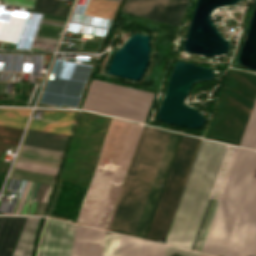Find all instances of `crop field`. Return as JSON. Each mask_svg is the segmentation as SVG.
Returning <instances> with one entry per match:
<instances>
[{"label":"crop field","mask_w":256,"mask_h":256,"mask_svg":"<svg viewBox=\"0 0 256 256\" xmlns=\"http://www.w3.org/2000/svg\"><path fill=\"white\" fill-rule=\"evenodd\" d=\"M179 136L143 127L106 230L143 237Z\"/></svg>","instance_id":"crop-field-1"},{"label":"crop field","mask_w":256,"mask_h":256,"mask_svg":"<svg viewBox=\"0 0 256 256\" xmlns=\"http://www.w3.org/2000/svg\"><path fill=\"white\" fill-rule=\"evenodd\" d=\"M75 226L48 218L38 256H70Z\"/></svg>","instance_id":"crop-field-10"},{"label":"crop field","mask_w":256,"mask_h":256,"mask_svg":"<svg viewBox=\"0 0 256 256\" xmlns=\"http://www.w3.org/2000/svg\"><path fill=\"white\" fill-rule=\"evenodd\" d=\"M227 149L202 140L165 244L192 249Z\"/></svg>","instance_id":"crop-field-4"},{"label":"crop field","mask_w":256,"mask_h":256,"mask_svg":"<svg viewBox=\"0 0 256 256\" xmlns=\"http://www.w3.org/2000/svg\"><path fill=\"white\" fill-rule=\"evenodd\" d=\"M231 147H232V146L230 145L229 150H228L227 155H226V158H225V161H224V163H223V166H222V169H221L220 175H219V177H218V180H217L216 186H215V188H214V191H213L212 197L214 196V193H215V191H216V188H217L218 182H219V180H220V177H221L222 171H223V169H224L225 163H226V161H227V158H228L229 152H230V150H231ZM234 148H235V147L233 146V147H232V150H231V152H230V155H229L228 161H227V163H226V166H225L224 172H223V174H222L221 180H220V182H219V185H218V188H217V191H216V193H215V196H214V197H217V196H218V193H219V190H220V188H221V185H222V182H223V179H224L225 173H226V171H227V168H228V165H229V162H230L231 156H232V154H233ZM238 149H239V148H237V147L235 148V151H234V154H233V156H232V159H231V162H230V165H229L228 171H227V173H226V176H225V179H224V182H223L222 188H221L220 193H219V196H218L219 198L221 197V194H222V192H223L224 186H225V184H226L227 178H228V176H229V173H230V170H231V168H232V165H233V162H234V160H235V157H236V154H237ZM212 197H211V199H210V202H209L208 208H207V210H206V213H205L204 219H203V221H202V224H201V227H200L199 233H198V235H197V238H196V241H195V244H194V246H193V249H192V250H194V249H195V246H196V244H197V241H198V238H199L200 232H201V230H202V227H203V224H204L205 218H206V216H207V213H208V210H209L210 204H211L212 199H213ZM219 198H218V199H217V198H214V199H213V202H212V204H211V207H210V210H209L208 216H207V218H206V221H205V224H204L203 230H202V232H201V235H200V238H199L198 244H197L196 249H195L196 251L198 250V247H199V245H200L201 239H202L203 234H204V231H205V229H206V226H207L208 220H209V218H210L211 212H212V210H213L214 204H215L216 199H217V202H216V204H215L214 210H213L212 215H211V218H210V220H209V223H208L207 229H206V231H205L204 237H203V239H202L201 245H200L199 250H198L199 252L201 251V248H202V246H203L204 240H205L206 235H207V232H208V230H209V227H210L211 221H212V219H213L214 213H215L216 208H217V205H218V203H219V200H220Z\"/></svg>","instance_id":"crop-field-13"},{"label":"crop field","mask_w":256,"mask_h":256,"mask_svg":"<svg viewBox=\"0 0 256 256\" xmlns=\"http://www.w3.org/2000/svg\"><path fill=\"white\" fill-rule=\"evenodd\" d=\"M105 232L77 226L71 256H102Z\"/></svg>","instance_id":"crop-field-11"},{"label":"crop field","mask_w":256,"mask_h":256,"mask_svg":"<svg viewBox=\"0 0 256 256\" xmlns=\"http://www.w3.org/2000/svg\"><path fill=\"white\" fill-rule=\"evenodd\" d=\"M201 252L256 256L255 151L239 149Z\"/></svg>","instance_id":"crop-field-2"},{"label":"crop field","mask_w":256,"mask_h":256,"mask_svg":"<svg viewBox=\"0 0 256 256\" xmlns=\"http://www.w3.org/2000/svg\"><path fill=\"white\" fill-rule=\"evenodd\" d=\"M27 218L0 217V256H12Z\"/></svg>","instance_id":"crop-field-12"},{"label":"crop field","mask_w":256,"mask_h":256,"mask_svg":"<svg viewBox=\"0 0 256 256\" xmlns=\"http://www.w3.org/2000/svg\"><path fill=\"white\" fill-rule=\"evenodd\" d=\"M199 140L183 136L146 239L162 242Z\"/></svg>","instance_id":"crop-field-7"},{"label":"crop field","mask_w":256,"mask_h":256,"mask_svg":"<svg viewBox=\"0 0 256 256\" xmlns=\"http://www.w3.org/2000/svg\"><path fill=\"white\" fill-rule=\"evenodd\" d=\"M40 218H28L13 256H31L34 233Z\"/></svg>","instance_id":"crop-field-18"},{"label":"crop field","mask_w":256,"mask_h":256,"mask_svg":"<svg viewBox=\"0 0 256 256\" xmlns=\"http://www.w3.org/2000/svg\"><path fill=\"white\" fill-rule=\"evenodd\" d=\"M119 239V234L106 235L103 256H118Z\"/></svg>","instance_id":"crop-field-19"},{"label":"crop field","mask_w":256,"mask_h":256,"mask_svg":"<svg viewBox=\"0 0 256 256\" xmlns=\"http://www.w3.org/2000/svg\"><path fill=\"white\" fill-rule=\"evenodd\" d=\"M165 256H200V254L166 246Z\"/></svg>","instance_id":"crop-field-20"},{"label":"crop field","mask_w":256,"mask_h":256,"mask_svg":"<svg viewBox=\"0 0 256 256\" xmlns=\"http://www.w3.org/2000/svg\"><path fill=\"white\" fill-rule=\"evenodd\" d=\"M255 100L256 74L231 69L205 138L239 146ZM240 146L256 150V103Z\"/></svg>","instance_id":"crop-field-5"},{"label":"crop field","mask_w":256,"mask_h":256,"mask_svg":"<svg viewBox=\"0 0 256 256\" xmlns=\"http://www.w3.org/2000/svg\"><path fill=\"white\" fill-rule=\"evenodd\" d=\"M142 127L113 120L76 223L106 229Z\"/></svg>","instance_id":"crop-field-3"},{"label":"crop field","mask_w":256,"mask_h":256,"mask_svg":"<svg viewBox=\"0 0 256 256\" xmlns=\"http://www.w3.org/2000/svg\"><path fill=\"white\" fill-rule=\"evenodd\" d=\"M201 256H207V255H203V254H201Z\"/></svg>","instance_id":"crop-field-22"},{"label":"crop field","mask_w":256,"mask_h":256,"mask_svg":"<svg viewBox=\"0 0 256 256\" xmlns=\"http://www.w3.org/2000/svg\"><path fill=\"white\" fill-rule=\"evenodd\" d=\"M62 154L23 145L9 177L53 184Z\"/></svg>","instance_id":"crop-field-8"},{"label":"crop field","mask_w":256,"mask_h":256,"mask_svg":"<svg viewBox=\"0 0 256 256\" xmlns=\"http://www.w3.org/2000/svg\"><path fill=\"white\" fill-rule=\"evenodd\" d=\"M188 0H126L123 13L180 25Z\"/></svg>","instance_id":"crop-field-9"},{"label":"crop field","mask_w":256,"mask_h":256,"mask_svg":"<svg viewBox=\"0 0 256 256\" xmlns=\"http://www.w3.org/2000/svg\"><path fill=\"white\" fill-rule=\"evenodd\" d=\"M165 246L121 235L119 256H164Z\"/></svg>","instance_id":"crop-field-16"},{"label":"crop field","mask_w":256,"mask_h":256,"mask_svg":"<svg viewBox=\"0 0 256 256\" xmlns=\"http://www.w3.org/2000/svg\"><path fill=\"white\" fill-rule=\"evenodd\" d=\"M39 25L62 29L64 22L42 17ZM61 31L59 29L39 26L30 50H54L60 36L56 35V32L60 33Z\"/></svg>","instance_id":"crop-field-15"},{"label":"crop field","mask_w":256,"mask_h":256,"mask_svg":"<svg viewBox=\"0 0 256 256\" xmlns=\"http://www.w3.org/2000/svg\"><path fill=\"white\" fill-rule=\"evenodd\" d=\"M112 1H118V2H120L121 0H112Z\"/></svg>","instance_id":"crop-field-21"},{"label":"crop field","mask_w":256,"mask_h":256,"mask_svg":"<svg viewBox=\"0 0 256 256\" xmlns=\"http://www.w3.org/2000/svg\"><path fill=\"white\" fill-rule=\"evenodd\" d=\"M25 141L23 144L46 148L56 151H64V147L68 136L57 135L42 131L28 130Z\"/></svg>","instance_id":"crop-field-17"},{"label":"crop field","mask_w":256,"mask_h":256,"mask_svg":"<svg viewBox=\"0 0 256 256\" xmlns=\"http://www.w3.org/2000/svg\"><path fill=\"white\" fill-rule=\"evenodd\" d=\"M154 95L92 79L81 109L144 124Z\"/></svg>","instance_id":"crop-field-6"},{"label":"crop field","mask_w":256,"mask_h":256,"mask_svg":"<svg viewBox=\"0 0 256 256\" xmlns=\"http://www.w3.org/2000/svg\"><path fill=\"white\" fill-rule=\"evenodd\" d=\"M76 112L64 111H45L43 118L56 121L59 123H51L33 119L29 128L43 131L55 132L60 134L71 135L70 128L74 124V116Z\"/></svg>","instance_id":"crop-field-14"}]
</instances>
